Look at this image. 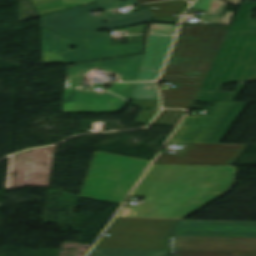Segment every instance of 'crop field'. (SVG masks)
<instances>
[{"label":"crop field","mask_w":256,"mask_h":256,"mask_svg":"<svg viewBox=\"0 0 256 256\" xmlns=\"http://www.w3.org/2000/svg\"><path fill=\"white\" fill-rule=\"evenodd\" d=\"M120 0H96V3L41 17L42 28L99 29L106 17L91 16L90 12L116 8Z\"/></svg>","instance_id":"d8731c3e"},{"label":"crop field","mask_w":256,"mask_h":256,"mask_svg":"<svg viewBox=\"0 0 256 256\" xmlns=\"http://www.w3.org/2000/svg\"><path fill=\"white\" fill-rule=\"evenodd\" d=\"M174 37L146 35L145 53L96 64L68 66L63 108L73 113H113L121 111L126 100H158L154 82L113 83L112 92L72 89L73 76L91 68H106L119 73L122 81L154 80L163 65Z\"/></svg>","instance_id":"ac0d7876"},{"label":"crop field","mask_w":256,"mask_h":256,"mask_svg":"<svg viewBox=\"0 0 256 256\" xmlns=\"http://www.w3.org/2000/svg\"><path fill=\"white\" fill-rule=\"evenodd\" d=\"M131 4H138V2L136 0H128L127 2H120V4L117 6L118 7H122V6H127V5H131Z\"/></svg>","instance_id":"00972430"},{"label":"crop field","mask_w":256,"mask_h":256,"mask_svg":"<svg viewBox=\"0 0 256 256\" xmlns=\"http://www.w3.org/2000/svg\"><path fill=\"white\" fill-rule=\"evenodd\" d=\"M185 111L180 110H163L161 111L152 124L176 126Z\"/></svg>","instance_id":"bc2a9ffb"},{"label":"crop field","mask_w":256,"mask_h":256,"mask_svg":"<svg viewBox=\"0 0 256 256\" xmlns=\"http://www.w3.org/2000/svg\"><path fill=\"white\" fill-rule=\"evenodd\" d=\"M175 221L176 220L115 218L106 233L170 235Z\"/></svg>","instance_id":"22f410ed"},{"label":"crop field","mask_w":256,"mask_h":256,"mask_svg":"<svg viewBox=\"0 0 256 256\" xmlns=\"http://www.w3.org/2000/svg\"><path fill=\"white\" fill-rule=\"evenodd\" d=\"M198 144H189L185 151L182 153L181 156H193ZM160 156H176V155H166L160 154Z\"/></svg>","instance_id":"dafd665d"},{"label":"crop field","mask_w":256,"mask_h":256,"mask_svg":"<svg viewBox=\"0 0 256 256\" xmlns=\"http://www.w3.org/2000/svg\"><path fill=\"white\" fill-rule=\"evenodd\" d=\"M170 236L111 234L102 236L95 248L169 250Z\"/></svg>","instance_id":"d1516ede"},{"label":"crop field","mask_w":256,"mask_h":256,"mask_svg":"<svg viewBox=\"0 0 256 256\" xmlns=\"http://www.w3.org/2000/svg\"><path fill=\"white\" fill-rule=\"evenodd\" d=\"M256 2L244 0L208 71L195 101L235 102L246 82L256 81ZM239 82L234 92L223 84Z\"/></svg>","instance_id":"412701ff"},{"label":"crop field","mask_w":256,"mask_h":256,"mask_svg":"<svg viewBox=\"0 0 256 256\" xmlns=\"http://www.w3.org/2000/svg\"><path fill=\"white\" fill-rule=\"evenodd\" d=\"M139 3H146V2H156V1H162V0H137Z\"/></svg>","instance_id":"a9b5d70f"},{"label":"crop field","mask_w":256,"mask_h":256,"mask_svg":"<svg viewBox=\"0 0 256 256\" xmlns=\"http://www.w3.org/2000/svg\"><path fill=\"white\" fill-rule=\"evenodd\" d=\"M73 109H63V113H72Z\"/></svg>","instance_id":"eef30255"},{"label":"crop field","mask_w":256,"mask_h":256,"mask_svg":"<svg viewBox=\"0 0 256 256\" xmlns=\"http://www.w3.org/2000/svg\"><path fill=\"white\" fill-rule=\"evenodd\" d=\"M142 47L143 42L110 47V33L97 30L42 29V51L54 50L64 64L138 54Z\"/></svg>","instance_id":"dd49c442"},{"label":"crop field","mask_w":256,"mask_h":256,"mask_svg":"<svg viewBox=\"0 0 256 256\" xmlns=\"http://www.w3.org/2000/svg\"><path fill=\"white\" fill-rule=\"evenodd\" d=\"M240 256H256V254H253V253H241Z\"/></svg>","instance_id":"4177f3b9"},{"label":"crop field","mask_w":256,"mask_h":256,"mask_svg":"<svg viewBox=\"0 0 256 256\" xmlns=\"http://www.w3.org/2000/svg\"><path fill=\"white\" fill-rule=\"evenodd\" d=\"M232 104L217 102L209 116H186L168 142L205 143Z\"/></svg>","instance_id":"5a996713"},{"label":"crop field","mask_w":256,"mask_h":256,"mask_svg":"<svg viewBox=\"0 0 256 256\" xmlns=\"http://www.w3.org/2000/svg\"><path fill=\"white\" fill-rule=\"evenodd\" d=\"M139 6L144 10L109 17L100 29H118L152 21V13Z\"/></svg>","instance_id":"d9b57169"},{"label":"crop field","mask_w":256,"mask_h":256,"mask_svg":"<svg viewBox=\"0 0 256 256\" xmlns=\"http://www.w3.org/2000/svg\"><path fill=\"white\" fill-rule=\"evenodd\" d=\"M143 6L153 13V22L178 23L189 4L186 0H174Z\"/></svg>","instance_id":"cbeb9de0"},{"label":"crop field","mask_w":256,"mask_h":256,"mask_svg":"<svg viewBox=\"0 0 256 256\" xmlns=\"http://www.w3.org/2000/svg\"><path fill=\"white\" fill-rule=\"evenodd\" d=\"M234 166L152 165L132 195L142 206L122 207L117 217L181 219L227 192Z\"/></svg>","instance_id":"8a807250"},{"label":"crop field","mask_w":256,"mask_h":256,"mask_svg":"<svg viewBox=\"0 0 256 256\" xmlns=\"http://www.w3.org/2000/svg\"><path fill=\"white\" fill-rule=\"evenodd\" d=\"M43 65L58 63L53 51L42 52Z\"/></svg>","instance_id":"92a150f3"},{"label":"crop field","mask_w":256,"mask_h":256,"mask_svg":"<svg viewBox=\"0 0 256 256\" xmlns=\"http://www.w3.org/2000/svg\"><path fill=\"white\" fill-rule=\"evenodd\" d=\"M226 1H228V2H230L232 4H237V3L240 2V0H226Z\"/></svg>","instance_id":"730fd06b"},{"label":"crop field","mask_w":256,"mask_h":256,"mask_svg":"<svg viewBox=\"0 0 256 256\" xmlns=\"http://www.w3.org/2000/svg\"><path fill=\"white\" fill-rule=\"evenodd\" d=\"M176 25L150 23L147 33L174 34Z\"/></svg>","instance_id":"214f88e0"},{"label":"crop field","mask_w":256,"mask_h":256,"mask_svg":"<svg viewBox=\"0 0 256 256\" xmlns=\"http://www.w3.org/2000/svg\"><path fill=\"white\" fill-rule=\"evenodd\" d=\"M173 235L256 237V222L182 220Z\"/></svg>","instance_id":"3316defc"},{"label":"crop field","mask_w":256,"mask_h":256,"mask_svg":"<svg viewBox=\"0 0 256 256\" xmlns=\"http://www.w3.org/2000/svg\"><path fill=\"white\" fill-rule=\"evenodd\" d=\"M249 103H234L206 143H221Z\"/></svg>","instance_id":"733c2abd"},{"label":"crop field","mask_w":256,"mask_h":256,"mask_svg":"<svg viewBox=\"0 0 256 256\" xmlns=\"http://www.w3.org/2000/svg\"><path fill=\"white\" fill-rule=\"evenodd\" d=\"M247 145L199 144L194 157H158L155 163L231 165Z\"/></svg>","instance_id":"28ad6ade"},{"label":"crop field","mask_w":256,"mask_h":256,"mask_svg":"<svg viewBox=\"0 0 256 256\" xmlns=\"http://www.w3.org/2000/svg\"><path fill=\"white\" fill-rule=\"evenodd\" d=\"M226 3L220 0H197L192 9L206 11L209 15V24L228 25L233 12L226 11L224 17H221Z\"/></svg>","instance_id":"5142ce71"},{"label":"crop field","mask_w":256,"mask_h":256,"mask_svg":"<svg viewBox=\"0 0 256 256\" xmlns=\"http://www.w3.org/2000/svg\"><path fill=\"white\" fill-rule=\"evenodd\" d=\"M173 256H239L256 253V238L173 236Z\"/></svg>","instance_id":"e52e79f7"},{"label":"crop field","mask_w":256,"mask_h":256,"mask_svg":"<svg viewBox=\"0 0 256 256\" xmlns=\"http://www.w3.org/2000/svg\"><path fill=\"white\" fill-rule=\"evenodd\" d=\"M150 163V160L97 151L79 196L122 204Z\"/></svg>","instance_id":"f4fd0767"},{"label":"crop field","mask_w":256,"mask_h":256,"mask_svg":"<svg viewBox=\"0 0 256 256\" xmlns=\"http://www.w3.org/2000/svg\"><path fill=\"white\" fill-rule=\"evenodd\" d=\"M227 30L218 26H180L159 80L179 87L160 90L162 107L191 109Z\"/></svg>","instance_id":"34b2d1b8"},{"label":"crop field","mask_w":256,"mask_h":256,"mask_svg":"<svg viewBox=\"0 0 256 256\" xmlns=\"http://www.w3.org/2000/svg\"><path fill=\"white\" fill-rule=\"evenodd\" d=\"M170 251L93 249L89 256H168Z\"/></svg>","instance_id":"4a817a6b"}]
</instances>
